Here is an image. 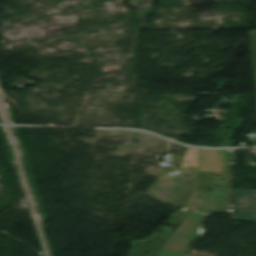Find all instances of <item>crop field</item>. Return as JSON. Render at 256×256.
<instances>
[{
  "label": "crop field",
  "instance_id": "5",
  "mask_svg": "<svg viewBox=\"0 0 256 256\" xmlns=\"http://www.w3.org/2000/svg\"><path fill=\"white\" fill-rule=\"evenodd\" d=\"M194 210L205 213L231 211L229 188L215 187L214 191L207 192Z\"/></svg>",
  "mask_w": 256,
  "mask_h": 256
},
{
  "label": "crop field",
  "instance_id": "6",
  "mask_svg": "<svg viewBox=\"0 0 256 256\" xmlns=\"http://www.w3.org/2000/svg\"><path fill=\"white\" fill-rule=\"evenodd\" d=\"M137 6L141 25L144 26L147 24V16L151 15L153 12V0H132Z\"/></svg>",
  "mask_w": 256,
  "mask_h": 256
},
{
  "label": "crop field",
  "instance_id": "3",
  "mask_svg": "<svg viewBox=\"0 0 256 256\" xmlns=\"http://www.w3.org/2000/svg\"><path fill=\"white\" fill-rule=\"evenodd\" d=\"M187 213H188L187 211L177 210L168 219V222L166 223H169L168 225H171V226H178L179 223L183 220V218L187 215ZM164 224L160 228L164 233L152 234V237L150 238L152 239V241L150 239H148L147 241H134L132 244V248L129 256H154L156 252L160 249V247L163 245V243L174 231L173 228L163 227ZM147 242H153V243L152 245H147ZM144 251H148L149 253L147 255H143Z\"/></svg>",
  "mask_w": 256,
  "mask_h": 256
},
{
  "label": "crop field",
  "instance_id": "1",
  "mask_svg": "<svg viewBox=\"0 0 256 256\" xmlns=\"http://www.w3.org/2000/svg\"><path fill=\"white\" fill-rule=\"evenodd\" d=\"M231 166V150L200 149L194 192L183 208L192 210L207 190L215 185L229 187L232 177ZM221 171L222 177H217ZM222 178L226 179V182H223Z\"/></svg>",
  "mask_w": 256,
  "mask_h": 256
},
{
  "label": "crop field",
  "instance_id": "4",
  "mask_svg": "<svg viewBox=\"0 0 256 256\" xmlns=\"http://www.w3.org/2000/svg\"><path fill=\"white\" fill-rule=\"evenodd\" d=\"M235 218L256 223V190L233 189Z\"/></svg>",
  "mask_w": 256,
  "mask_h": 256
},
{
  "label": "crop field",
  "instance_id": "7",
  "mask_svg": "<svg viewBox=\"0 0 256 256\" xmlns=\"http://www.w3.org/2000/svg\"><path fill=\"white\" fill-rule=\"evenodd\" d=\"M249 34H250V40H251L254 73H255V79H256V31H249Z\"/></svg>",
  "mask_w": 256,
  "mask_h": 256
},
{
  "label": "crop field",
  "instance_id": "2",
  "mask_svg": "<svg viewBox=\"0 0 256 256\" xmlns=\"http://www.w3.org/2000/svg\"><path fill=\"white\" fill-rule=\"evenodd\" d=\"M205 214L191 212L158 253L159 256H190L189 245L201 234L198 228ZM157 255V256H158Z\"/></svg>",
  "mask_w": 256,
  "mask_h": 256
}]
</instances>
